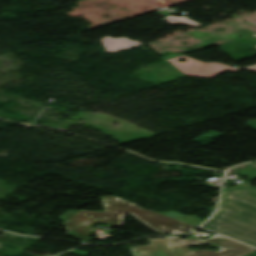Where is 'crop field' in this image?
Listing matches in <instances>:
<instances>
[{
	"label": "crop field",
	"mask_w": 256,
	"mask_h": 256,
	"mask_svg": "<svg viewBox=\"0 0 256 256\" xmlns=\"http://www.w3.org/2000/svg\"><path fill=\"white\" fill-rule=\"evenodd\" d=\"M102 201L105 212L81 210L67 219L63 223L68 227L67 234L82 242H88L92 239L90 236L95 225L104 224L119 227L122 224L124 213L133 214L157 232L170 234L187 233L195 227L156 212L143 210L138 205L116 196L102 197Z\"/></svg>",
	"instance_id": "8a807250"
},
{
	"label": "crop field",
	"mask_w": 256,
	"mask_h": 256,
	"mask_svg": "<svg viewBox=\"0 0 256 256\" xmlns=\"http://www.w3.org/2000/svg\"><path fill=\"white\" fill-rule=\"evenodd\" d=\"M150 245L130 247L133 256H243L256 251L250 247L219 236L217 234L206 240L193 239H148ZM210 244L220 251L195 250L191 251L188 246Z\"/></svg>",
	"instance_id": "ac0d7876"
},
{
	"label": "crop field",
	"mask_w": 256,
	"mask_h": 256,
	"mask_svg": "<svg viewBox=\"0 0 256 256\" xmlns=\"http://www.w3.org/2000/svg\"><path fill=\"white\" fill-rule=\"evenodd\" d=\"M227 194L256 205V189L234 188ZM223 203L238 210L224 220L211 222L209 229L256 247V206L234 200Z\"/></svg>",
	"instance_id": "34b2d1b8"
},
{
	"label": "crop field",
	"mask_w": 256,
	"mask_h": 256,
	"mask_svg": "<svg viewBox=\"0 0 256 256\" xmlns=\"http://www.w3.org/2000/svg\"><path fill=\"white\" fill-rule=\"evenodd\" d=\"M228 190V189H227ZM224 192V197H223V201L225 199H234V200H238L232 196H229L226 194V191ZM222 201V202H223ZM240 201V200H238ZM236 209H233V208H230V207H227L225 206L224 204H221V208L219 210V212L216 214V216L214 218H212V220H218V219H224L225 217H227L228 215H230L232 212H234Z\"/></svg>",
	"instance_id": "412701ff"
},
{
	"label": "crop field",
	"mask_w": 256,
	"mask_h": 256,
	"mask_svg": "<svg viewBox=\"0 0 256 256\" xmlns=\"http://www.w3.org/2000/svg\"><path fill=\"white\" fill-rule=\"evenodd\" d=\"M76 211H68L67 213L63 214L61 217L58 218V220L65 221L67 218H69L71 215H73Z\"/></svg>",
	"instance_id": "f4fd0767"
},
{
	"label": "crop field",
	"mask_w": 256,
	"mask_h": 256,
	"mask_svg": "<svg viewBox=\"0 0 256 256\" xmlns=\"http://www.w3.org/2000/svg\"><path fill=\"white\" fill-rule=\"evenodd\" d=\"M67 253H72V254H78V255L86 256L89 252H87V251L73 250V251H70V252H67Z\"/></svg>",
	"instance_id": "dd49c442"
},
{
	"label": "crop field",
	"mask_w": 256,
	"mask_h": 256,
	"mask_svg": "<svg viewBox=\"0 0 256 256\" xmlns=\"http://www.w3.org/2000/svg\"><path fill=\"white\" fill-rule=\"evenodd\" d=\"M248 125L254 129H256V121L249 122Z\"/></svg>",
	"instance_id": "e52e79f7"
},
{
	"label": "crop field",
	"mask_w": 256,
	"mask_h": 256,
	"mask_svg": "<svg viewBox=\"0 0 256 256\" xmlns=\"http://www.w3.org/2000/svg\"><path fill=\"white\" fill-rule=\"evenodd\" d=\"M250 165H252V166H255V167H256V163H254V164H250Z\"/></svg>",
	"instance_id": "d8731c3e"
},
{
	"label": "crop field",
	"mask_w": 256,
	"mask_h": 256,
	"mask_svg": "<svg viewBox=\"0 0 256 256\" xmlns=\"http://www.w3.org/2000/svg\"><path fill=\"white\" fill-rule=\"evenodd\" d=\"M0 246H2V243H0Z\"/></svg>",
	"instance_id": "5a996713"
},
{
	"label": "crop field",
	"mask_w": 256,
	"mask_h": 256,
	"mask_svg": "<svg viewBox=\"0 0 256 256\" xmlns=\"http://www.w3.org/2000/svg\"><path fill=\"white\" fill-rule=\"evenodd\" d=\"M252 36H256V34H255V35H252Z\"/></svg>",
	"instance_id": "3316defc"
}]
</instances>
